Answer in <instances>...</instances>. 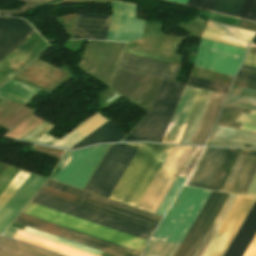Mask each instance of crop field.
I'll return each instance as SVG.
<instances>
[{"label": "crop field", "mask_w": 256, "mask_h": 256, "mask_svg": "<svg viewBox=\"0 0 256 256\" xmlns=\"http://www.w3.org/2000/svg\"><path fill=\"white\" fill-rule=\"evenodd\" d=\"M171 148L142 143L110 199L136 207Z\"/></svg>", "instance_id": "obj_1"}, {"label": "crop field", "mask_w": 256, "mask_h": 256, "mask_svg": "<svg viewBox=\"0 0 256 256\" xmlns=\"http://www.w3.org/2000/svg\"><path fill=\"white\" fill-rule=\"evenodd\" d=\"M184 86L163 80L149 113L123 141L161 142Z\"/></svg>", "instance_id": "obj_2"}, {"label": "crop field", "mask_w": 256, "mask_h": 256, "mask_svg": "<svg viewBox=\"0 0 256 256\" xmlns=\"http://www.w3.org/2000/svg\"><path fill=\"white\" fill-rule=\"evenodd\" d=\"M203 190L182 187L153 239L180 244L210 194Z\"/></svg>", "instance_id": "obj_3"}, {"label": "crop field", "mask_w": 256, "mask_h": 256, "mask_svg": "<svg viewBox=\"0 0 256 256\" xmlns=\"http://www.w3.org/2000/svg\"><path fill=\"white\" fill-rule=\"evenodd\" d=\"M23 213L137 250L142 251L146 240L30 202ZM148 242V241H147Z\"/></svg>", "instance_id": "obj_4"}, {"label": "crop field", "mask_w": 256, "mask_h": 256, "mask_svg": "<svg viewBox=\"0 0 256 256\" xmlns=\"http://www.w3.org/2000/svg\"><path fill=\"white\" fill-rule=\"evenodd\" d=\"M110 145L84 190L109 198L141 143Z\"/></svg>", "instance_id": "obj_5"}, {"label": "crop field", "mask_w": 256, "mask_h": 256, "mask_svg": "<svg viewBox=\"0 0 256 256\" xmlns=\"http://www.w3.org/2000/svg\"><path fill=\"white\" fill-rule=\"evenodd\" d=\"M193 149L194 147L189 146H173L137 208L155 213Z\"/></svg>", "instance_id": "obj_6"}, {"label": "crop field", "mask_w": 256, "mask_h": 256, "mask_svg": "<svg viewBox=\"0 0 256 256\" xmlns=\"http://www.w3.org/2000/svg\"><path fill=\"white\" fill-rule=\"evenodd\" d=\"M210 93V91L201 90L179 143H188ZM225 97L226 95L223 94L211 93L188 144H205Z\"/></svg>", "instance_id": "obj_7"}, {"label": "crop field", "mask_w": 256, "mask_h": 256, "mask_svg": "<svg viewBox=\"0 0 256 256\" xmlns=\"http://www.w3.org/2000/svg\"><path fill=\"white\" fill-rule=\"evenodd\" d=\"M238 151L207 148L189 185L219 191Z\"/></svg>", "instance_id": "obj_8"}, {"label": "crop field", "mask_w": 256, "mask_h": 256, "mask_svg": "<svg viewBox=\"0 0 256 256\" xmlns=\"http://www.w3.org/2000/svg\"><path fill=\"white\" fill-rule=\"evenodd\" d=\"M126 44L90 41L80 68L110 84Z\"/></svg>", "instance_id": "obj_9"}, {"label": "crop field", "mask_w": 256, "mask_h": 256, "mask_svg": "<svg viewBox=\"0 0 256 256\" xmlns=\"http://www.w3.org/2000/svg\"><path fill=\"white\" fill-rule=\"evenodd\" d=\"M15 222L75 241L77 243L116 255L139 256L140 252L21 213Z\"/></svg>", "instance_id": "obj_10"}, {"label": "crop field", "mask_w": 256, "mask_h": 256, "mask_svg": "<svg viewBox=\"0 0 256 256\" xmlns=\"http://www.w3.org/2000/svg\"><path fill=\"white\" fill-rule=\"evenodd\" d=\"M246 50L200 40L194 66L234 76Z\"/></svg>", "instance_id": "obj_11"}, {"label": "crop field", "mask_w": 256, "mask_h": 256, "mask_svg": "<svg viewBox=\"0 0 256 256\" xmlns=\"http://www.w3.org/2000/svg\"><path fill=\"white\" fill-rule=\"evenodd\" d=\"M109 145L72 152L56 181L83 189Z\"/></svg>", "instance_id": "obj_12"}, {"label": "crop field", "mask_w": 256, "mask_h": 256, "mask_svg": "<svg viewBox=\"0 0 256 256\" xmlns=\"http://www.w3.org/2000/svg\"><path fill=\"white\" fill-rule=\"evenodd\" d=\"M161 81L118 69L111 88L149 111Z\"/></svg>", "instance_id": "obj_13"}, {"label": "crop field", "mask_w": 256, "mask_h": 256, "mask_svg": "<svg viewBox=\"0 0 256 256\" xmlns=\"http://www.w3.org/2000/svg\"><path fill=\"white\" fill-rule=\"evenodd\" d=\"M32 202L148 240L152 231L37 193Z\"/></svg>", "instance_id": "obj_14"}, {"label": "crop field", "mask_w": 256, "mask_h": 256, "mask_svg": "<svg viewBox=\"0 0 256 256\" xmlns=\"http://www.w3.org/2000/svg\"><path fill=\"white\" fill-rule=\"evenodd\" d=\"M256 198L238 196L203 256H222L255 202Z\"/></svg>", "instance_id": "obj_15"}, {"label": "crop field", "mask_w": 256, "mask_h": 256, "mask_svg": "<svg viewBox=\"0 0 256 256\" xmlns=\"http://www.w3.org/2000/svg\"><path fill=\"white\" fill-rule=\"evenodd\" d=\"M227 194L211 192L173 256H191Z\"/></svg>", "instance_id": "obj_16"}, {"label": "crop field", "mask_w": 256, "mask_h": 256, "mask_svg": "<svg viewBox=\"0 0 256 256\" xmlns=\"http://www.w3.org/2000/svg\"><path fill=\"white\" fill-rule=\"evenodd\" d=\"M39 193L154 231L157 222L44 185ZM159 224V223H158Z\"/></svg>", "instance_id": "obj_17"}, {"label": "crop field", "mask_w": 256, "mask_h": 256, "mask_svg": "<svg viewBox=\"0 0 256 256\" xmlns=\"http://www.w3.org/2000/svg\"><path fill=\"white\" fill-rule=\"evenodd\" d=\"M135 5L115 2L107 40L129 42L140 39L143 21L134 19Z\"/></svg>", "instance_id": "obj_18"}, {"label": "crop field", "mask_w": 256, "mask_h": 256, "mask_svg": "<svg viewBox=\"0 0 256 256\" xmlns=\"http://www.w3.org/2000/svg\"><path fill=\"white\" fill-rule=\"evenodd\" d=\"M242 151H256V149H242ZM256 174V152H241L223 189L247 192ZM233 193L234 191H226Z\"/></svg>", "instance_id": "obj_19"}, {"label": "crop field", "mask_w": 256, "mask_h": 256, "mask_svg": "<svg viewBox=\"0 0 256 256\" xmlns=\"http://www.w3.org/2000/svg\"><path fill=\"white\" fill-rule=\"evenodd\" d=\"M36 31L19 18L0 17V60L11 53Z\"/></svg>", "instance_id": "obj_20"}, {"label": "crop field", "mask_w": 256, "mask_h": 256, "mask_svg": "<svg viewBox=\"0 0 256 256\" xmlns=\"http://www.w3.org/2000/svg\"><path fill=\"white\" fill-rule=\"evenodd\" d=\"M201 89L185 86L162 142L178 143Z\"/></svg>", "instance_id": "obj_21"}, {"label": "crop field", "mask_w": 256, "mask_h": 256, "mask_svg": "<svg viewBox=\"0 0 256 256\" xmlns=\"http://www.w3.org/2000/svg\"><path fill=\"white\" fill-rule=\"evenodd\" d=\"M47 179L31 174L0 211V234Z\"/></svg>", "instance_id": "obj_22"}, {"label": "crop field", "mask_w": 256, "mask_h": 256, "mask_svg": "<svg viewBox=\"0 0 256 256\" xmlns=\"http://www.w3.org/2000/svg\"><path fill=\"white\" fill-rule=\"evenodd\" d=\"M119 68L174 81L180 67L125 53Z\"/></svg>", "instance_id": "obj_23"}, {"label": "crop field", "mask_w": 256, "mask_h": 256, "mask_svg": "<svg viewBox=\"0 0 256 256\" xmlns=\"http://www.w3.org/2000/svg\"><path fill=\"white\" fill-rule=\"evenodd\" d=\"M256 147V133L216 124L206 145Z\"/></svg>", "instance_id": "obj_24"}, {"label": "crop field", "mask_w": 256, "mask_h": 256, "mask_svg": "<svg viewBox=\"0 0 256 256\" xmlns=\"http://www.w3.org/2000/svg\"><path fill=\"white\" fill-rule=\"evenodd\" d=\"M111 16L79 14L75 39L106 40Z\"/></svg>", "instance_id": "obj_25"}, {"label": "crop field", "mask_w": 256, "mask_h": 256, "mask_svg": "<svg viewBox=\"0 0 256 256\" xmlns=\"http://www.w3.org/2000/svg\"><path fill=\"white\" fill-rule=\"evenodd\" d=\"M218 124L256 131V111L223 105Z\"/></svg>", "instance_id": "obj_26"}, {"label": "crop field", "mask_w": 256, "mask_h": 256, "mask_svg": "<svg viewBox=\"0 0 256 256\" xmlns=\"http://www.w3.org/2000/svg\"><path fill=\"white\" fill-rule=\"evenodd\" d=\"M256 231V202L223 256H241Z\"/></svg>", "instance_id": "obj_27"}, {"label": "crop field", "mask_w": 256, "mask_h": 256, "mask_svg": "<svg viewBox=\"0 0 256 256\" xmlns=\"http://www.w3.org/2000/svg\"><path fill=\"white\" fill-rule=\"evenodd\" d=\"M14 238L60 253L65 256H95L21 230L18 231Z\"/></svg>", "instance_id": "obj_28"}, {"label": "crop field", "mask_w": 256, "mask_h": 256, "mask_svg": "<svg viewBox=\"0 0 256 256\" xmlns=\"http://www.w3.org/2000/svg\"><path fill=\"white\" fill-rule=\"evenodd\" d=\"M34 112L33 109L9 100L0 107V127L10 130Z\"/></svg>", "instance_id": "obj_29"}, {"label": "crop field", "mask_w": 256, "mask_h": 256, "mask_svg": "<svg viewBox=\"0 0 256 256\" xmlns=\"http://www.w3.org/2000/svg\"><path fill=\"white\" fill-rule=\"evenodd\" d=\"M46 185H49V186H52V187H55V188H58V189L76 194V195H79V196H82V197H85V198H88V199H91V200H94V201H97V202L115 207V208L130 212V213H133V214H136V215H139V216H142V217H145V218L157 221V222H159V220L161 219L160 217H157V216H154V215H151V214L133 209L131 207H128V206H125V205H122V204H119V203H116V202H113V201H110V200H107V199L89 194V193H86V192H83V191H80V190H77L75 188H72V187H69V186L51 181V180H49L46 183Z\"/></svg>", "instance_id": "obj_30"}, {"label": "crop field", "mask_w": 256, "mask_h": 256, "mask_svg": "<svg viewBox=\"0 0 256 256\" xmlns=\"http://www.w3.org/2000/svg\"><path fill=\"white\" fill-rule=\"evenodd\" d=\"M125 136L114 126V124L108 121L106 124L98 128L82 141L74 145L72 148H79L85 145L98 143V142H111L120 141Z\"/></svg>", "instance_id": "obj_31"}, {"label": "crop field", "mask_w": 256, "mask_h": 256, "mask_svg": "<svg viewBox=\"0 0 256 256\" xmlns=\"http://www.w3.org/2000/svg\"><path fill=\"white\" fill-rule=\"evenodd\" d=\"M0 256H56L28 245L0 238Z\"/></svg>", "instance_id": "obj_32"}, {"label": "crop field", "mask_w": 256, "mask_h": 256, "mask_svg": "<svg viewBox=\"0 0 256 256\" xmlns=\"http://www.w3.org/2000/svg\"><path fill=\"white\" fill-rule=\"evenodd\" d=\"M236 198H237L236 195L229 194L227 200L225 201L224 205L222 206L220 212L218 213L217 217L215 218L213 224L211 225L210 229L208 230L206 236L204 237L203 241L201 242V244H200L199 248L197 249L196 253L194 254V256H202L203 252L205 251L209 242L213 238L214 234L216 233L217 229L219 228L220 224L222 223L223 219L225 218L226 214L230 210V208L233 205Z\"/></svg>", "instance_id": "obj_33"}, {"label": "crop field", "mask_w": 256, "mask_h": 256, "mask_svg": "<svg viewBox=\"0 0 256 256\" xmlns=\"http://www.w3.org/2000/svg\"><path fill=\"white\" fill-rule=\"evenodd\" d=\"M225 103L256 110V91L232 86Z\"/></svg>", "instance_id": "obj_34"}, {"label": "crop field", "mask_w": 256, "mask_h": 256, "mask_svg": "<svg viewBox=\"0 0 256 256\" xmlns=\"http://www.w3.org/2000/svg\"><path fill=\"white\" fill-rule=\"evenodd\" d=\"M177 247V244L151 240L143 256H172Z\"/></svg>", "instance_id": "obj_35"}, {"label": "crop field", "mask_w": 256, "mask_h": 256, "mask_svg": "<svg viewBox=\"0 0 256 256\" xmlns=\"http://www.w3.org/2000/svg\"><path fill=\"white\" fill-rule=\"evenodd\" d=\"M243 1L244 0H216L211 10L236 17Z\"/></svg>", "instance_id": "obj_36"}, {"label": "crop field", "mask_w": 256, "mask_h": 256, "mask_svg": "<svg viewBox=\"0 0 256 256\" xmlns=\"http://www.w3.org/2000/svg\"><path fill=\"white\" fill-rule=\"evenodd\" d=\"M186 84L225 93V94L228 93V90L230 87L228 85H224V84H220V83H216V82H212V81H208V80H204V79H200L192 76L189 77Z\"/></svg>", "instance_id": "obj_37"}, {"label": "crop field", "mask_w": 256, "mask_h": 256, "mask_svg": "<svg viewBox=\"0 0 256 256\" xmlns=\"http://www.w3.org/2000/svg\"><path fill=\"white\" fill-rule=\"evenodd\" d=\"M190 75L208 79V80H212V81H216V82H220V83H224V84H228V85L231 84V81L233 79L232 76H228V75H224V74H220V73H216V72H211V71H207V70H203V69H199V68H195V67L192 68Z\"/></svg>", "instance_id": "obj_38"}, {"label": "crop field", "mask_w": 256, "mask_h": 256, "mask_svg": "<svg viewBox=\"0 0 256 256\" xmlns=\"http://www.w3.org/2000/svg\"><path fill=\"white\" fill-rule=\"evenodd\" d=\"M183 182H184V179H181L179 177L177 178L174 185L172 186L167 196L159 206L158 210L156 211V214L160 216L164 215L165 211L167 210L168 206L170 205L171 201L173 200L174 196L176 195L177 191L179 190Z\"/></svg>", "instance_id": "obj_39"}, {"label": "crop field", "mask_w": 256, "mask_h": 256, "mask_svg": "<svg viewBox=\"0 0 256 256\" xmlns=\"http://www.w3.org/2000/svg\"><path fill=\"white\" fill-rule=\"evenodd\" d=\"M237 17L256 22V0H245Z\"/></svg>", "instance_id": "obj_40"}, {"label": "crop field", "mask_w": 256, "mask_h": 256, "mask_svg": "<svg viewBox=\"0 0 256 256\" xmlns=\"http://www.w3.org/2000/svg\"><path fill=\"white\" fill-rule=\"evenodd\" d=\"M20 169L12 168L7 166L6 169L0 175V194L7 187V185L13 180L18 174Z\"/></svg>", "instance_id": "obj_41"}, {"label": "crop field", "mask_w": 256, "mask_h": 256, "mask_svg": "<svg viewBox=\"0 0 256 256\" xmlns=\"http://www.w3.org/2000/svg\"><path fill=\"white\" fill-rule=\"evenodd\" d=\"M234 80L256 85V72L239 69Z\"/></svg>", "instance_id": "obj_42"}, {"label": "crop field", "mask_w": 256, "mask_h": 256, "mask_svg": "<svg viewBox=\"0 0 256 256\" xmlns=\"http://www.w3.org/2000/svg\"><path fill=\"white\" fill-rule=\"evenodd\" d=\"M21 1L25 4L22 10H19V11H0V13H2V14H15V13H18V12H21V11H24V10L42 5L44 3L53 1V0H21Z\"/></svg>", "instance_id": "obj_43"}, {"label": "crop field", "mask_w": 256, "mask_h": 256, "mask_svg": "<svg viewBox=\"0 0 256 256\" xmlns=\"http://www.w3.org/2000/svg\"><path fill=\"white\" fill-rule=\"evenodd\" d=\"M214 1L215 0H189L187 4L210 10Z\"/></svg>", "instance_id": "obj_44"}, {"label": "crop field", "mask_w": 256, "mask_h": 256, "mask_svg": "<svg viewBox=\"0 0 256 256\" xmlns=\"http://www.w3.org/2000/svg\"><path fill=\"white\" fill-rule=\"evenodd\" d=\"M243 64L256 67V55L247 53Z\"/></svg>", "instance_id": "obj_45"}, {"label": "crop field", "mask_w": 256, "mask_h": 256, "mask_svg": "<svg viewBox=\"0 0 256 256\" xmlns=\"http://www.w3.org/2000/svg\"><path fill=\"white\" fill-rule=\"evenodd\" d=\"M244 256H256V237L254 238Z\"/></svg>", "instance_id": "obj_46"}, {"label": "crop field", "mask_w": 256, "mask_h": 256, "mask_svg": "<svg viewBox=\"0 0 256 256\" xmlns=\"http://www.w3.org/2000/svg\"><path fill=\"white\" fill-rule=\"evenodd\" d=\"M247 195L256 196V176L247 192Z\"/></svg>", "instance_id": "obj_47"}, {"label": "crop field", "mask_w": 256, "mask_h": 256, "mask_svg": "<svg viewBox=\"0 0 256 256\" xmlns=\"http://www.w3.org/2000/svg\"><path fill=\"white\" fill-rule=\"evenodd\" d=\"M232 85L256 90V86L249 85V84H244V83H240V82H236V81H234Z\"/></svg>", "instance_id": "obj_48"}, {"label": "crop field", "mask_w": 256, "mask_h": 256, "mask_svg": "<svg viewBox=\"0 0 256 256\" xmlns=\"http://www.w3.org/2000/svg\"><path fill=\"white\" fill-rule=\"evenodd\" d=\"M242 68H246V69H250V70H255L256 71V68H253V67H248V66H244V65H241Z\"/></svg>", "instance_id": "obj_49"}, {"label": "crop field", "mask_w": 256, "mask_h": 256, "mask_svg": "<svg viewBox=\"0 0 256 256\" xmlns=\"http://www.w3.org/2000/svg\"><path fill=\"white\" fill-rule=\"evenodd\" d=\"M172 1H176V2H180V3L186 4L188 0H172Z\"/></svg>", "instance_id": "obj_50"}]
</instances>
